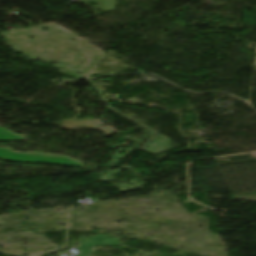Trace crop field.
Listing matches in <instances>:
<instances>
[{
	"label": "crop field",
	"mask_w": 256,
	"mask_h": 256,
	"mask_svg": "<svg viewBox=\"0 0 256 256\" xmlns=\"http://www.w3.org/2000/svg\"><path fill=\"white\" fill-rule=\"evenodd\" d=\"M119 238L111 234L95 235L93 237H81L78 241V256H88L92 246L112 245L118 246Z\"/></svg>",
	"instance_id": "obj_2"
},
{
	"label": "crop field",
	"mask_w": 256,
	"mask_h": 256,
	"mask_svg": "<svg viewBox=\"0 0 256 256\" xmlns=\"http://www.w3.org/2000/svg\"><path fill=\"white\" fill-rule=\"evenodd\" d=\"M0 140H25L23 137L0 128Z\"/></svg>",
	"instance_id": "obj_3"
},
{
	"label": "crop field",
	"mask_w": 256,
	"mask_h": 256,
	"mask_svg": "<svg viewBox=\"0 0 256 256\" xmlns=\"http://www.w3.org/2000/svg\"><path fill=\"white\" fill-rule=\"evenodd\" d=\"M0 159L8 161L42 163L83 168L77 161L68 157L38 153L21 154L13 152L11 149L7 148H0Z\"/></svg>",
	"instance_id": "obj_1"
}]
</instances>
